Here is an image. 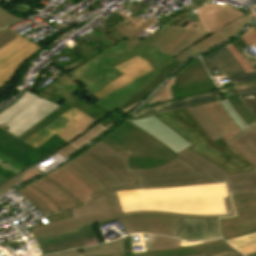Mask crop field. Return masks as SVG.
Wrapping results in <instances>:
<instances>
[{
    "instance_id": "obj_1",
    "label": "crop field",
    "mask_w": 256,
    "mask_h": 256,
    "mask_svg": "<svg viewBox=\"0 0 256 256\" xmlns=\"http://www.w3.org/2000/svg\"><path fill=\"white\" fill-rule=\"evenodd\" d=\"M187 110L213 142L222 137L233 150L253 165L255 169L227 174L225 170L187 148L177 154V158L162 167L130 170L127 157H130L132 151L118 153L100 140L90 149L73 158L96 176L108 189L91 195L92 198L123 189L169 188L226 182L229 197L223 199L227 214L188 215L154 211L123 214L125 217L131 215H168L205 219L234 216L230 196L256 194V126L251 125L236 137L227 141L215 127L202 106L187 108Z\"/></svg>"
},
{
    "instance_id": "obj_2",
    "label": "crop field",
    "mask_w": 256,
    "mask_h": 256,
    "mask_svg": "<svg viewBox=\"0 0 256 256\" xmlns=\"http://www.w3.org/2000/svg\"><path fill=\"white\" fill-rule=\"evenodd\" d=\"M169 27V25L164 24L155 34L142 42L137 41L136 37L128 41L125 40L69 74L96 93L123 75L113 67L137 55L147 60L153 68V72L94 102L119 120L122 115L113 112L114 110L117 108L121 110L144 99L174 68L181 64L171 56H166L149 45Z\"/></svg>"
},
{
    "instance_id": "obj_3",
    "label": "crop field",
    "mask_w": 256,
    "mask_h": 256,
    "mask_svg": "<svg viewBox=\"0 0 256 256\" xmlns=\"http://www.w3.org/2000/svg\"><path fill=\"white\" fill-rule=\"evenodd\" d=\"M116 193L123 212L154 210L189 214L226 213L222 197L228 196L225 183Z\"/></svg>"
},
{
    "instance_id": "obj_4",
    "label": "crop field",
    "mask_w": 256,
    "mask_h": 256,
    "mask_svg": "<svg viewBox=\"0 0 256 256\" xmlns=\"http://www.w3.org/2000/svg\"><path fill=\"white\" fill-rule=\"evenodd\" d=\"M157 117L189 142L192 145L190 149L222 167L227 173L253 169V166L233 151L222 138L213 143L186 109Z\"/></svg>"
},
{
    "instance_id": "obj_5",
    "label": "crop field",
    "mask_w": 256,
    "mask_h": 256,
    "mask_svg": "<svg viewBox=\"0 0 256 256\" xmlns=\"http://www.w3.org/2000/svg\"><path fill=\"white\" fill-rule=\"evenodd\" d=\"M101 140L118 152L134 150L128 158L131 169L159 167L177 157L130 122H123Z\"/></svg>"
},
{
    "instance_id": "obj_6",
    "label": "crop field",
    "mask_w": 256,
    "mask_h": 256,
    "mask_svg": "<svg viewBox=\"0 0 256 256\" xmlns=\"http://www.w3.org/2000/svg\"><path fill=\"white\" fill-rule=\"evenodd\" d=\"M43 254L99 243L91 226L79 231L73 218L32 228Z\"/></svg>"
},
{
    "instance_id": "obj_7",
    "label": "crop field",
    "mask_w": 256,
    "mask_h": 256,
    "mask_svg": "<svg viewBox=\"0 0 256 256\" xmlns=\"http://www.w3.org/2000/svg\"><path fill=\"white\" fill-rule=\"evenodd\" d=\"M202 27L199 21L188 23L185 28L172 26L150 45L158 48V51L166 55L169 54L183 63L198 55L188 48L210 35L200 30Z\"/></svg>"
},
{
    "instance_id": "obj_8",
    "label": "crop field",
    "mask_w": 256,
    "mask_h": 256,
    "mask_svg": "<svg viewBox=\"0 0 256 256\" xmlns=\"http://www.w3.org/2000/svg\"><path fill=\"white\" fill-rule=\"evenodd\" d=\"M97 123L98 122L91 119L83 112L73 108L34 134L25 142L37 148L55 133L68 144Z\"/></svg>"
},
{
    "instance_id": "obj_9",
    "label": "crop field",
    "mask_w": 256,
    "mask_h": 256,
    "mask_svg": "<svg viewBox=\"0 0 256 256\" xmlns=\"http://www.w3.org/2000/svg\"><path fill=\"white\" fill-rule=\"evenodd\" d=\"M207 70L217 66L222 75H229L240 96L256 93V72L245 74L225 46L201 57ZM256 71V60L245 58Z\"/></svg>"
},
{
    "instance_id": "obj_10",
    "label": "crop field",
    "mask_w": 256,
    "mask_h": 256,
    "mask_svg": "<svg viewBox=\"0 0 256 256\" xmlns=\"http://www.w3.org/2000/svg\"><path fill=\"white\" fill-rule=\"evenodd\" d=\"M232 199L237 216L220 219V229L225 240L256 232L255 195L235 196Z\"/></svg>"
},
{
    "instance_id": "obj_11",
    "label": "crop field",
    "mask_w": 256,
    "mask_h": 256,
    "mask_svg": "<svg viewBox=\"0 0 256 256\" xmlns=\"http://www.w3.org/2000/svg\"><path fill=\"white\" fill-rule=\"evenodd\" d=\"M79 230L96 223L124 217L116 193L90 200L83 207L70 210Z\"/></svg>"
},
{
    "instance_id": "obj_12",
    "label": "crop field",
    "mask_w": 256,
    "mask_h": 256,
    "mask_svg": "<svg viewBox=\"0 0 256 256\" xmlns=\"http://www.w3.org/2000/svg\"><path fill=\"white\" fill-rule=\"evenodd\" d=\"M59 77H62V79L59 81L56 80L37 95L56 104L64 100L71 106L83 111L85 114L98 122L108 115L101 108H95L89 104H86L75 95L78 90L80 92L84 90L82 88H77L76 85L78 83H74V80L71 79L72 77L65 73Z\"/></svg>"
},
{
    "instance_id": "obj_13",
    "label": "crop field",
    "mask_w": 256,
    "mask_h": 256,
    "mask_svg": "<svg viewBox=\"0 0 256 256\" xmlns=\"http://www.w3.org/2000/svg\"><path fill=\"white\" fill-rule=\"evenodd\" d=\"M175 77L177 87H171L174 99L217 89L199 58L181 69Z\"/></svg>"
},
{
    "instance_id": "obj_14",
    "label": "crop field",
    "mask_w": 256,
    "mask_h": 256,
    "mask_svg": "<svg viewBox=\"0 0 256 256\" xmlns=\"http://www.w3.org/2000/svg\"><path fill=\"white\" fill-rule=\"evenodd\" d=\"M181 218L167 216H131L118 219L126 233H154L177 236Z\"/></svg>"
},
{
    "instance_id": "obj_15",
    "label": "crop field",
    "mask_w": 256,
    "mask_h": 256,
    "mask_svg": "<svg viewBox=\"0 0 256 256\" xmlns=\"http://www.w3.org/2000/svg\"><path fill=\"white\" fill-rule=\"evenodd\" d=\"M39 49L20 36L0 48V87L10 80L19 64Z\"/></svg>"
},
{
    "instance_id": "obj_16",
    "label": "crop field",
    "mask_w": 256,
    "mask_h": 256,
    "mask_svg": "<svg viewBox=\"0 0 256 256\" xmlns=\"http://www.w3.org/2000/svg\"><path fill=\"white\" fill-rule=\"evenodd\" d=\"M117 70H119L124 75L115 80L114 82L110 83L106 87H104L101 91L98 93H93L91 90H89L87 87H82L87 92H89L91 95L95 96L98 99L114 92L115 90L123 87L124 85L134 81L135 79L143 76L144 74L152 71V68L148 64L147 61L142 59L141 57L137 56L117 67H115ZM94 97V98H95Z\"/></svg>"
},
{
    "instance_id": "obj_17",
    "label": "crop field",
    "mask_w": 256,
    "mask_h": 256,
    "mask_svg": "<svg viewBox=\"0 0 256 256\" xmlns=\"http://www.w3.org/2000/svg\"><path fill=\"white\" fill-rule=\"evenodd\" d=\"M195 12L204 26L202 29L211 34L244 15L227 4H209L200 7Z\"/></svg>"
},
{
    "instance_id": "obj_18",
    "label": "crop field",
    "mask_w": 256,
    "mask_h": 256,
    "mask_svg": "<svg viewBox=\"0 0 256 256\" xmlns=\"http://www.w3.org/2000/svg\"><path fill=\"white\" fill-rule=\"evenodd\" d=\"M131 122L163 142L176 154L190 146V144H188L189 142L187 143L185 140L179 137L180 135L178 136L176 133H174L155 116L133 120Z\"/></svg>"
},
{
    "instance_id": "obj_19",
    "label": "crop field",
    "mask_w": 256,
    "mask_h": 256,
    "mask_svg": "<svg viewBox=\"0 0 256 256\" xmlns=\"http://www.w3.org/2000/svg\"><path fill=\"white\" fill-rule=\"evenodd\" d=\"M177 237L186 241H197L220 237L218 219L204 220L182 218Z\"/></svg>"
},
{
    "instance_id": "obj_20",
    "label": "crop field",
    "mask_w": 256,
    "mask_h": 256,
    "mask_svg": "<svg viewBox=\"0 0 256 256\" xmlns=\"http://www.w3.org/2000/svg\"><path fill=\"white\" fill-rule=\"evenodd\" d=\"M125 242H126L128 256H189V255H194V254L203 253V252H206L208 256L213 253L232 249L223 240H220V241H215L211 243H206V244H201V245L191 246L186 248H180V249L132 254L131 237L130 236L125 237Z\"/></svg>"
},
{
    "instance_id": "obj_21",
    "label": "crop field",
    "mask_w": 256,
    "mask_h": 256,
    "mask_svg": "<svg viewBox=\"0 0 256 256\" xmlns=\"http://www.w3.org/2000/svg\"><path fill=\"white\" fill-rule=\"evenodd\" d=\"M29 185L49 197L61 209L57 212L82 206L74 196L46 176Z\"/></svg>"
},
{
    "instance_id": "obj_22",
    "label": "crop field",
    "mask_w": 256,
    "mask_h": 256,
    "mask_svg": "<svg viewBox=\"0 0 256 256\" xmlns=\"http://www.w3.org/2000/svg\"><path fill=\"white\" fill-rule=\"evenodd\" d=\"M219 99H223L222 94L220 93L219 89L205 92L199 95L182 98L178 100H173L171 102L162 103L158 105H152L150 107L144 108L141 111L136 112L137 114L134 117L144 116L153 113H161L173 109L188 107L200 103H208L212 101H216Z\"/></svg>"
},
{
    "instance_id": "obj_23",
    "label": "crop field",
    "mask_w": 256,
    "mask_h": 256,
    "mask_svg": "<svg viewBox=\"0 0 256 256\" xmlns=\"http://www.w3.org/2000/svg\"><path fill=\"white\" fill-rule=\"evenodd\" d=\"M46 176L73 194L82 204L92 199L89 194L94 192L64 167L61 166Z\"/></svg>"
},
{
    "instance_id": "obj_24",
    "label": "crop field",
    "mask_w": 256,
    "mask_h": 256,
    "mask_svg": "<svg viewBox=\"0 0 256 256\" xmlns=\"http://www.w3.org/2000/svg\"><path fill=\"white\" fill-rule=\"evenodd\" d=\"M253 13L249 14L247 17L237 19L233 23L228 24L225 28L213 33L211 36L199 41L197 44L192 46L190 49L194 50L198 54L211 48L217 46L243 28L247 23H249L254 17ZM237 22L235 25L234 23ZM238 33V32H237ZM236 33V34H237ZM234 36V35H233ZM230 39V38H229Z\"/></svg>"
},
{
    "instance_id": "obj_25",
    "label": "crop field",
    "mask_w": 256,
    "mask_h": 256,
    "mask_svg": "<svg viewBox=\"0 0 256 256\" xmlns=\"http://www.w3.org/2000/svg\"><path fill=\"white\" fill-rule=\"evenodd\" d=\"M35 148L0 129V152L9 156L26 170L28 161L23 155Z\"/></svg>"
},
{
    "instance_id": "obj_26",
    "label": "crop field",
    "mask_w": 256,
    "mask_h": 256,
    "mask_svg": "<svg viewBox=\"0 0 256 256\" xmlns=\"http://www.w3.org/2000/svg\"><path fill=\"white\" fill-rule=\"evenodd\" d=\"M203 107L216 127L226 137L227 140H230L241 132L239 127L233 122L226 111L222 108L219 101L212 102L210 104H204Z\"/></svg>"
},
{
    "instance_id": "obj_27",
    "label": "crop field",
    "mask_w": 256,
    "mask_h": 256,
    "mask_svg": "<svg viewBox=\"0 0 256 256\" xmlns=\"http://www.w3.org/2000/svg\"><path fill=\"white\" fill-rule=\"evenodd\" d=\"M122 253H126L123 238L112 243H106L99 246H92L72 251L60 252L57 254H51L46 256H106Z\"/></svg>"
},
{
    "instance_id": "obj_28",
    "label": "crop field",
    "mask_w": 256,
    "mask_h": 256,
    "mask_svg": "<svg viewBox=\"0 0 256 256\" xmlns=\"http://www.w3.org/2000/svg\"><path fill=\"white\" fill-rule=\"evenodd\" d=\"M144 237H145L146 252L171 249V248H179V247L197 245V244H201V243L220 240V239H212V240L200 241V242H196V243H187L185 241H181L176 238L163 237V236H153V235L144 234Z\"/></svg>"
},
{
    "instance_id": "obj_29",
    "label": "crop field",
    "mask_w": 256,
    "mask_h": 256,
    "mask_svg": "<svg viewBox=\"0 0 256 256\" xmlns=\"http://www.w3.org/2000/svg\"><path fill=\"white\" fill-rule=\"evenodd\" d=\"M65 168L72 172L75 176L81 179L85 184H87L95 193L106 190L103 184L94 177L89 171L79 165L73 159L65 163Z\"/></svg>"
},
{
    "instance_id": "obj_30",
    "label": "crop field",
    "mask_w": 256,
    "mask_h": 256,
    "mask_svg": "<svg viewBox=\"0 0 256 256\" xmlns=\"http://www.w3.org/2000/svg\"><path fill=\"white\" fill-rule=\"evenodd\" d=\"M71 108H73V107H71L70 105H68L67 103L64 102L59 108H57L55 111H53L47 117H45L44 119L39 121L37 124H35L27 132H25L23 135H21L18 138L25 141L31 135H33L34 133L39 131L41 128H43L44 126H46L47 124H49L50 122H52L53 120H55L56 118H58L59 116H61L65 112H67L68 110H70Z\"/></svg>"
},
{
    "instance_id": "obj_31",
    "label": "crop field",
    "mask_w": 256,
    "mask_h": 256,
    "mask_svg": "<svg viewBox=\"0 0 256 256\" xmlns=\"http://www.w3.org/2000/svg\"><path fill=\"white\" fill-rule=\"evenodd\" d=\"M234 249L245 254L256 251V233L227 241Z\"/></svg>"
},
{
    "instance_id": "obj_32",
    "label": "crop field",
    "mask_w": 256,
    "mask_h": 256,
    "mask_svg": "<svg viewBox=\"0 0 256 256\" xmlns=\"http://www.w3.org/2000/svg\"><path fill=\"white\" fill-rule=\"evenodd\" d=\"M114 124H110L106 128L103 127L101 124L95 125L92 129L87 131L84 135L80 136L79 138L72 141L69 145L72 146L75 149H79L81 146H83L85 143H90L92 140L99 137L102 133L107 131L109 128H111Z\"/></svg>"
},
{
    "instance_id": "obj_33",
    "label": "crop field",
    "mask_w": 256,
    "mask_h": 256,
    "mask_svg": "<svg viewBox=\"0 0 256 256\" xmlns=\"http://www.w3.org/2000/svg\"><path fill=\"white\" fill-rule=\"evenodd\" d=\"M231 107L235 110L238 116L245 122L247 125L253 123L256 120V116L249 110V108L242 102L239 97L227 99Z\"/></svg>"
},
{
    "instance_id": "obj_34",
    "label": "crop field",
    "mask_w": 256,
    "mask_h": 256,
    "mask_svg": "<svg viewBox=\"0 0 256 256\" xmlns=\"http://www.w3.org/2000/svg\"><path fill=\"white\" fill-rule=\"evenodd\" d=\"M170 86H176L174 76L156 93V95L144 107L173 100Z\"/></svg>"
},
{
    "instance_id": "obj_35",
    "label": "crop field",
    "mask_w": 256,
    "mask_h": 256,
    "mask_svg": "<svg viewBox=\"0 0 256 256\" xmlns=\"http://www.w3.org/2000/svg\"><path fill=\"white\" fill-rule=\"evenodd\" d=\"M154 21L155 20L150 18L143 25L139 27L135 26L133 23H129L128 25H126L123 22H121V24L115 27L114 29L128 40L131 37L138 34L140 31H142L144 28H146L148 25H150Z\"/></svg>"
},
{
    "instance_id": "obj_36",
    "label": "crop field",
    "mask_w": 256,
    "mask_h": 256,
    "mask_svg": "<svg viewBox=\"0 0 256 256\" xmlns=\"http://www.w3.org/2000/svg\"><path fill=\"white\" fill-rule=\"evenodd\" d=\"M77 45L71 48L75 53H78L83 59L86 61L93 57L94 55L98 54L93 48L88 46L85 42L78 40L75 42ZM90 60V59H89Z\"/></svg>"
},
{
    "instance_id": "obj_37",
    "label": "crop field",
    "mask_w": 256,
    "mask_h": 256,
    "mask_svg": "<svg viewBox=\"0 0 256 256\" xmlns=\"http://www.w3.org/2000/svg\"><path fill=\"white\" fill-rule=\"evenodd\" d=\"M18 192H20L22 195H24L26 198H28L30 200V202H32L33 204H35L40 211L42 212V214L45 215H49V213H51V211L48 209V207L43 204L36 196H34L32 193H30L28 190L22 188L20 190H18Z\"/></svg>"
},
{
    "instance_id": "obj_38",
    "label": "crop field",
    "mask_w": 256,
    "mask_h": 256,
    "mask_svg": "<svg viewBox=\"0 0 256 256\" xmlns=\"http://www.w3.org/2000/svg\"><path fill=\"white\" fill-rule=\"evenodd\" d=\"M227 49L230 51L232 56L235 58V60L238 62L241 68L245 71V73L254 71L251 68V66L244 60V58L239 54V52L233 47L231 43H230V46H227Z\"/></svg>"
},
{
    "instance_id": "obj_39",
    "label": "crop field",
    "mask_w": 256,
    "mask_h": 256,
    "mask_svg": "<svg viewBox=\"0 0 256 256\" xmlns=\"http://www.w3.org/2000/svg\"><path fill=\"white\" fill-rule=\"evenodd\" d=\"M24 188L28 189L33 194H35L42 202H44L50 208V210L52 212H55V211L59 210V208L50 199H48L45 195H43L42 193L38 192L37 190H35L31 186L28 185V186H26Z\"/></svg>"
},
{
    "instance_id": "obj_40",
    "label": "crop field",
    "mask_w": 256,
    "mask_h": 256,
    "mask_svg": "<svg viewBox=\"0 0 256 256\" xmlns=\"http://www.w3.org/2000/svg\"><path fill=\"white\" fill-rule=\"evenodd\" d=\"M75 59H77V56L70 51L65 55L53 60L52 62L55 63L58 67L63 68Z\"/></svg>"
},
{
    "instance_id": "obj_41",
    "label": "crop field",
    "mask_w": 256,
    "mask_h": 256,
    "mask_svg": "<svg viewBox=\"0 0 256 256\" xmlns=\"http://www.w3.org/2000/svg\"><path fill=\"white\" fill-rule=\"evenodd\" d=\"M221 105L224 107V109L227 111V113L230 115V117L234 120V122L243 130L246 128L245 124L240 120V118L236 115V113L231 109V107L228 105L226 100L220 101Z\"/></svg>"
},
{
    "instance_id": "obj_42",
    "label": "crop field",
    "mask_w": 256,
    "mask_h": 256,
    "mask_svg": "<svg viewBox=\"0 0 256 256\" xmlns=\"http://www.w3.org/2000/svg\"><path fill=\"white\" fill-rule=\"evenodd\" d=\"M18 35L12 32L11 30L5 28L0 32V47L7 44L14 38H16Z\"/></svg>"
},
{
    "instance_id": "obj_43",
    "label": "crop field",
    "mask_w": 256,
    "mask_h": 256,
    "mask_svg": "<svg viewBox=\"0 0 256 256\" xmlns=\"http://www.w3.org/2000/svg\"><path fill=\"white\" fill-rule=\"evenodd\" d=\"M19 18L7 13L0 7V28H4L8 23L15 21Z\"/></svg>"
},
{
    "instance_id": "obj_44",
    "label": "crop field",
    "mask_w": 256,
    "mask_h": 256,
    "mask_svg": "<svg viewBox=\"0 0 256 256\" xmlns=\"http://www.w3.org/2000/svg\"><path fill=\"white\" fill-rule=\"evenodd\" d=\"M22 172L0 185V195L11 189L19 182Z\"/></svg>"
},
{
    "instance_id": "obj_45",
    "label": "crop field",
    "mask_w": 256,
    "mask_h": 256,
    "mask_svg": "<svg viewBox=\"0 0 256 256\" xmlns=\"http://www.w3.org/2000/svg\"><path fill=\"white\" fill-rule=\"evenodd\" d=\"M244 42L249 45L254 43L256 45V30L254 26H252L250 29H248L244 34L240 36Z\"/></svg>"
},
{
    "instance_id": "obj_46",
    "label": "crop field",
    "mask_w": 256,
    "mask_h": 256,
    "mask_svg": "<svg viewBox=\"0 0 256 256\" xmlns=\"http://www.w3.org/2000/svg\"><path fill=\"white\" fill-rule=\"evenodd\" d=\"M243 102L250 108V110L256 115V94L241 97ZM256 124V121H254Z\"/></svg>"
},
{
    "instance_id": "obj_47",
    "label": "crop field",
    "mask_w": 256,
    "mask_h": 256,
    "mask_svg": "<svg viewBox=\"0 0 256 256\" xmlns=\"http://www.w3.org/2000/svg\"><path fill=\"white\" fill-rule=\"evenodd\" d=\"M69 145V144H68ZM65 146L64 148H62V149H60V150H58V151H56L57 153H59L62 157H64L65 159L67 158V157H69V156H71L72 154H74L77 150H75V149H73L72 147H70V146ZM85 145H87V144H85ZM84 145V146H85ZM83 146V147H84ZM81 149V148H80ZM79 149V150H80Z\"/></svg>"
},
{
    "instance_id": "obj_48",
    "label": "crop field",
    "mask_w": 256,
    "mask_h": 256,
    "mask_svg": "<svg viewBox=\"0 0 256 256\" xmlns=\"http://www.w3.org/2000/svg\"><path fill=\"white\" fill-rule=\"evenodd\" d=\"M39 174H41V172L38 171L36 168H33V169H30V170H27L26 172H24V175L21 180L26 182Z\"/></svg>"
},
{
    "instance_id": "obj_49",
    "label": "crop field",
    "mask_w": 256,
    "mask_h": 256,
    "mask_svg": "<svg viewBox=\"0 0 256 256\" xmlns=\"http://www.w3.org/2000/svg\"><path fill=\"white\" fill-rule=\"evenodd\" d=\"M194 256H206V255H205V253H203V254L194 255ZM211 256H242V255L237 253L234 250H231V251H226V252H222V253L213 254Z\"/></svg>"
},
{
    "instance_id": "obj_50",
    "label": "crop field",
    "mask_w": 256,
    "mask_h": 256,
    "mask_svg": "<svg viewBox=\"0 0 256 256\" xmlns=\"http://www.w3.org/2000/svg\"><path fill=\"white\" fill-rule=\"evenodd\" d=\"M120 21L117 19V18H115V17H112V18H110L109 20H107L106 22H104V23H106L108 26H110V27H115L116 25H118V24H120L119 23Z\"/></svg>"
},
{
    "instance_id": "obj_51",
    "label": "crop field",
    "mask_w": 256,
    "mask_h": 256,
    "mask_svg": "<svg viewBox=\"0 0 256 256\" xmlns=\"http://www.w3.org/2000/svg\"><path fill=\"white\" fill-rule=\"evenodd\" d=\"M84 62H86V61L83 60L82 58H79L78 60H76V61L70 63V64L67 65V66H69L70 68L74 69V68H76L77 66L81 65V64L84 63Z\"/></svg>"
},
{
    "instance_id": "obj_52",
    "label": "crop field",
    "mask_w": 256,
    "mask_h": 256,
    "mask_svg": "<svg viewBox=\"0 0 256 256\" xmlns=\"http://www.w3.org/2000/svg\"><path fill=\"white\" fill-rule=\"evenodd\" d=\"M99 123H101L103 126H107V125H109L110 123H116V122H114V121H112V120H110V119H108L107 117L105 118V119H103L101 122H99Z\"/></svg>"
},
{
    "instance_id": "obj_53",
    "label": "crop field",
    "mask_w": 256,
    "mask_h": 256,
    "mask_svg": "<svg viewBox=\"0 0 256 256\" xmlns=\"http://www.w3.org/2000/svg\"><path fill=\"white\" fill-rule=\"evenodd\" d=\"M141 101H142V100H141ZM141 101H139V102L133 104L132 106H130V107H128V108H126V109H124V110H122V111H123L125 114L128 113V112L131 111L136 105H138Z\"/></svg>"
},
{
    "instance_id": "obj_54",
    "label": "crop field",
    "mask_w": 256,
    "mask_h": 256,
    "mask_svg": "<svg viewBox=\"0 0 256 256\" xmlns=\"http://www.w3.org/2000/svg\"><path fill=\"white\" fill-rule=\"evenodd\" d=\"M247 256H256V253H254V254H251V255H247Z\"/></svg>"
},
{
    "instance_id": "obj_55",
    "label": "crop field",
    "mask_w": 256,
    "mask_h": 256,
    "mask_svg": "<svg viewBox=\"0 0 256 256\" xmlns=\"http://www.w3.org/2000/svg\"><path fill=\"white\" fill-rule=\"evenodd\" d=\"M114 256H126V254H122V255H114Z\"/></svg>"
},
{
    "instance_id": "obj_56",
    "label": "crop field",
    "mask_w": 256,
    "mask_h": 256,
    "mask_svg": "<svg viewBox=\"0 0 256 256\" xmlns=\"http://www.w3.org/2000/svg\"><path fill=\"white\" fill-rule=\"evenodd\" d=\"M1 1V0H0Z\"/></svg>"
}]
</instances>
